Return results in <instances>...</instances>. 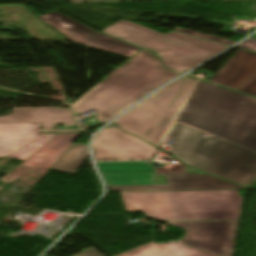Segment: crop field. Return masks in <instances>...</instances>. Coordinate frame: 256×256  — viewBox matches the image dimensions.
<instances>
[{
    "label": "crop field",
    "instance_id": "1",
    "mask_svg": "<svg viewBox=\"0 0 256 256\" xmlns=\"http://www.w3.org/2000/svg\"><path fill=\"white\" fill-rule=\"evenodd\" d=\"M176 121L256 151V99L199 81Z\"/></svg>",
    "mask_w": 256,
    "mask_h": 256
},
{
    "label": "crop field",
    "instance_id": "2",
    "mask_svg": "<svg viewBox=\"0 0 256 256\" xmlns=\"http://www.w3.org/2000/svg\"><path fill=\"white\" fill-rule=\"evenodd\" d=\"M178 75L164 69L155 54L142 49L72 106L77 115L93 109L107 122Z\"/></svg>",
    "mask_w": 256,
    "mask_h": 256
},
{
    "label": "crop field",
    "instance_id": "3",
    "mask_svg": "<svg viewBox=\"0 0 256 256\" xmlns=\"http://www.w3.org/2000/svg\"><path fill=\"white\" fill-rule=\"evenodd\" d=\"M127 212L160 220H239L238 190L121 192Z\"/></svg>",
    "mask_w": 256,
    "mask_h": 256
},
{
    "label": "crop field",
    "instance_id": "4",
    "mask_svg": "<svg viewBox=\"0 0 256 256\" xmlns=\"http://www.w3.org/2000/svg\"><path fill=\"white\" fill-rule=\"evenodd\" d=\"M202 132L176 124L169 138L170 148L179 160L210 174L247 187L256 179V152L218 136L202 139Z\"/></svg>",
    "mask_w": 256,
    "mask_h": 256
},
{
    "label": "crop field",
    "instance_id": "5",
    "mask_svg": "<svg viewBox=\"0 0 256 256\" xmlns=\"http://www.w3.org/2000/svg\"><path fill=\"white\" fill-rule=\"evenodd\" d=\"M102 33L157 53L166 68L181 73L229 47L173 31L164 35L123 20Z\"/></svg>",
    "mask_w": 256,
    "mask_h": 256
},
{
    "label": "crop field",
    "instance_id": "6",
    "mask_svg": "<svg viewBox=\"0 0 256 256\" xmlns=\"http://www.w3.org/2000/svg\"><path fill=\"white\" fill-rule=\"evenodd\" d=\"M199 79L183 77L160 89L111 125L159 148Z\"/></svg>",
    "mask_w": 256,
    "mask_h": 256
},
{
    "label": "crop field",
    "instance_id": "7",
    "mask_svg": "<svg viewBox=\"0 0 256 256\" xmlns=\"http://www.w3.org/2000/svg\"><path fill=\"white\" fill-rule=\"evenodd\" d=\"M114 191L244 189L207 174L156 175L145 162L97 163Z\"/></svg>",
    "mask_w": 256,
    "mask_h": 256
},
{
    "label": "crop field",
    "instance_id": "8",
    "mask_svg": "<svg viewBox=\"0 0 256 256\" xmlns=\"http://www.w3.org/2000/svg\"><path fill=\"white\" fill-rule=\"evenodd\" d=\"M239 221L169 222L186 231L182 244L219 256H233Z\"/></svg>",
    "mask_w": 256,
    "mask_h": 256
},
{
    "label": "crop field",
    "instance_id": "9",
    "mask_svg": "<svg viewBox=\"0 0 256 256\" xmlns=\"http://www.w3.org/2000/svg\"><path fill=\"white\" fill-rule=\"evenodd\" d=\"M95 161L152 160L157 148L112 127L93 140Z\"/></svg>",
    "mask_w": 256,
    "mask_h": 256
},
{
    "label": "crop field",
    "instance_id": "10",
    "mask_svg": "<svg viewBox=\"0 0 256 256\" xmlns=\"http://www.w3.org/2000/svg\"><path fill=\"white\" fill-rule=\"evenodd\" d=\"M71 40L89 47L129 58L140 48L103 35L57 11L39 16Z\"/></svg>",
    "mask_w": 256,
    "mask_h": 256
},
{
    "label": "crop field",
    "instance_id": "11",
    "mask_svg": "<svg viewBox=\"0 0 256 256\" xmlns=\"http://www.w3.org/2000/svg\"><path fill=\"white\" fill-rule=\"evenodd\" d=\"M42 122L43 133L81 132L80 130L54 131L53 123L64 126H76L71 109L56 107L14 108L6 117H0V123Z\"/></svg>",
    "mask_w": 256,
    "mask_h": 256
},
{
    "label": "crop field",
    "instance_id": "12",
    "mask_svg": "<svg viewBox=\"0 0 256 256\" xmlns=\"http://www.w3.org/2000/svg\"><path fill=\"white\" fill-rule=\"evenodd\" d=\"M256 73V53L240 49L210 81L236 89Z\"/></svg>",
    "mask_w": 256,
    "mask_h": 256
},
{
    "label": "crop field",
    "instance_id": "13",
    "mask_svg": "<svg viewBox=\"0 0 256 256\" xmlns=\"http://www.w3.org/2000/svg\"><path fill=\"white\" fill-rule=\"evenodd\" d=\"M45 135L41 123L0 124V158Z\"/></svg>",
    "mask_w": 256,
    "mask_h": 256
},
{
    "label": "crop field",
    "instance_id": "14",
    "mask_svg": "<svg viewBox=\"0 0 256 256\" xmlns=\"http://www.w3.org/2000/svg\"><path fill=\"white\" fill-rule=\"evenodd\" d=\"M79 134H58L21 165L51 168Z\"/></svg>",
    "mask_w": 256,
    "mask_h": 256
},
{
    "label": "crop field",
    "instance_id": "15",
    "mask_svg": "<svg viewBox=\"0 0 256 256\" xmlns=\"http://www.w3.org/2000/svg\"><path fill=\"white\" fill-rule=\"evenodd\" d=\"M118 256H214L196 249H192L170 240L168 243L155 244L153 242L126 252Z\"/></svg>",
    "mask_w": 256,
    "mask_h": 256
},
{
    "label": "crop field",
    "instance_id": "16",
    "mask_svg": "<svg viewBox=\"0 0 256 256\" xmlns=\"http://www.w3.org/2000/svg\"><path fill=\"white\" fill-rule=\"evenodd\" d=\"M87 158V145L72 144L52 169L73 174Z\"/></svg>",
    "mask_w": 256,
    "mask_h": 256
},
{
    "label": "crop field",
    "instance_id": "17",
    "mask_svg": "<svg viewBox=\"0 0 256 256\" xmlns=\"http://www.w3.org/2000/svg\"><path fill=\"white\" fill-rule=\"evenodd\" d=\"M56 134H49L42 139L6 156L10 158H15L19 160L25 161L27 158H29L34 152H36L40 147H42L46 142H48L52 137H54Z\"/></svg>",
    "mask_w": 256,
    "mask_h": 256
},
{
    "label": "crop field",
    "instance_id": "18",
    "mask_svg": "<svg viewBox=\"0 0 256 256\" xmlns=\"http://www.w3.org/2000/svg\"><path fill=\"white\" fill-rule=\"evenodd\" d=\"M157 174H181V173H202L200 171L194 170L192 168H189L182 163L165 169V168H157L155 169Z\"/></svg>",
    "mask_w": 256,
    "mask_h": 256
},
{
    "label": "crop field",
    "instance_id": "19",
    "mask_svg": "<svg viewBox=\"0 0 256 256\" xmlns=\"http://www.w3.org/2000/svg\"><path fill=\"white\" fill-rule=\"evenodd\" d=\"M236 91L256 97V74L237 88Z\"/></svg>",
    "mask_w": 256,
    "mask_h": 256
},
{
    "label": "crop field",
    "instance_id": "20",
    "mask_svg": "<svg viewBox=\"0 0 256 256\" xmlns=\"http://www.w3.org/2000/svg\"><path fill=\"white\" fill-rule=\"evenodd\" d=\"M173 30L184 32V33H188V34H192V35H196V36H200V37H203V38L215 40V41L226 43V44H230V45L236 43V42H233V41H230V40H226V39H222V38H218V37H214V36H210V35L194 32V31L184 30V29H181V28H178V27H176Z\"/></svg>",
    "mask_w": 256,
    "mask_h": 256
},
{
    "label": "crop field",
    "instance_id": "21",
    "mask_svg": "<svg viewBox=\"0 0 256 256\" xmlns=\"http://www.w3.org/2000/svg\"><path fill=\"white\" fill-rule=\"evenodd\" d=\"M237 47L245 48V49L252 50V51L256 52V40H254V39L247 40V41L243 42L242 44L238 45Z\"/></svg>",
    "mask_w": 256,
    "mask_h": 256
},
{
    "label": "crop field",
    "instance_id": "22",
    "mask_svg": "<svg viewBox=\"0 0 256 256\" xmlns=\"http://www.w3.org/2000/svg\"><path fill=\"white\" fill-rule=\"evenodd\" d=\"M76 256H103V255L98 253L96 250L90 248V249H88V250H86V251H84V252H82V253H80Z\"/></svg>",
    "mask_w": 256,
    "mask_h": 256
},
{
    "label": "crop field",
    "instance_id": "23",
    "mask_svg": "<svg viewBox=\"0 0 256 256\" xmlns=\"http://www.w3.org/2000/svg\"><path fill=\"white\" fill-rule=\"evenodd\" d=\"M248 189H256V183L252 187H250Z\"/></svg>",
    "mask_w": 256,
    "mask_h": 256
}]
</instances>
